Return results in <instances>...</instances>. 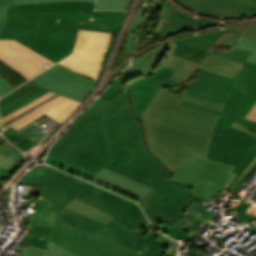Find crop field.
I'll return each mask as SVG.
<instances>
[{"instance_id": "obj_1", "label": "crop field", "mask_w": 256, "mask_h": 256, "mask_svg": "<svg viewBox=\"0 0 256 256\" xmlns=\"http://www.w3.org/2000/svg\"><path fill=\"white\" fill-rule=\"evenodd\" d=\"M0 39H14L56 62L72 53L77 29L116 33L125 12L94 11L95 0H0Z\"/></svg>"}, {"instance_id": "obj_2", "label": "crop field", "mask_w": 256, "mask_h": 256, "mask_svg": "<svg viewBox=\"0 0 256 256\" xmlns=\"http://www.w3.org/2000/svg\"><path fill=\"white\" fill-rule=\"evenodd\" d=\"M188 101L215 110L222 104L160 89L141 116L150 151L173 171L191 155L206 158L218 115L180 105Z\"/></svg>"}, {"instance_id": "obj_3", "label": "crop field", "mask_w": 256, "mask_h": 256, "mask_svg": "<svg viewBox=\"0 0 256 256\" xmlns=\"http://www.w3.org/2000/svg\"><path fill=\"white\" fill-rule=\"evenodd\" d=\"M102 111L113 158L105 168L154 188L152 194L170 221L174 220L190 199L189 187L172 183L168 172L145 149L128 101L116 116L108 114V104Z\"/></svg>"}, {"instance_id": "obj_4", "label": "crop field", "mask_w": 256, "mask_h": 256, "mask_svg": "<svg viewBox=\"0 0 256 256\" xmlns=\"http://www.w3.org/2000/svg\"><path fill=\"white\" fill-rule=\"evenodd\" d=\"M107 102L100 97L82 113L55 143L45 161L56 155L98 173L112 159L100 110Z\"/></svg>"}, {"instance_id": "obj_5", "label": "crop field", "mask_w": 256, "mask_h": 256, "mask_svg": "<svg viewBox=\"0 0 256 256\" xmlns=\"http://www.w3.org/2000/svg\"><path fill=\"white\" fill-rule=\"evenodd\" d=\"M201 75L190 82L186 93L218 103L225 100L244 107L236 120L253 124L244 119L256 103V64L245 61L233 79L198 69Z\"/></svg>"}, {"instance_id": "obj_6", "label": "crop field", "mask_w": 256, "mask_h": 256, "mask_svg": "<svg viewBox=\"0 0 256 256\" xmlns=\"http://www.w3.org/2000/svg\"><path fill=\"white\" fill-rule=\"evenodd\" d=\"M19 183L45 185L40 197L51 200L58 220L95 235L105 224L65 208L87 184L71 176L40 167L27 173Z\"/></svg>"}, {"instance_id": "obj_7", "label": "crop field", "mask_w": 256, "mask_h": 256, "mask_svg": "<svg viewBox=\"0 0 256 256\" xmlns=\"http://www.w3.org/2000/svg\"><path fill=\"white\" fill-rule=\"evenodd\" d=\"M242 107L225 102L208 148L207 158L228 163L236 176L229 183L231 188L256 156V137L231 126ZM228 149V151H226Z\"/></svg>"}, {"instance_id": "obj_8", "label": "crop field", "mask_w": 256, "mask_h": 256, "mask_svg": "<svg viewBox=\"0 0 256 256\" xmlns=\"http://www.w3.org/2000/svg\"><path fill=\"white\" fill-rule=\"evenodd\" d=\"M231 168L226 164L191 156L172 172V176L177 182L194 184L191 191L194 198L210 201L234 176L229 174Z\"/></svg>"}, {"instance_id": "obj_9", "label": "crop field", "mask_w": 256, "mask_h": 256, "mask_svg": "<svg viewBox=\"0 0 256 256\" xmlns=\"http://www.w3.org/2000/svg\"><path fill=\"white\" fill-rule=\"evenodd\" d=\"M112 35L78 30L73 53L56 63L82 76L98 80Z\"/></svg>"}, {"instance_id": "obj_10", "label": "crop field", "mask_w": 256, "mask_h": 256, "mask_svg": "<svg viewBox=\"0 0 256 256\" xmlns=\"http://www.w3.org/2000/svg\"><path fill=\"white\" fill-rule=\"evenodd\" d=\"M76 198L114 216L112 221L131 232L147 223L136 204L93 185L87 184Z\"/></svg>"}, {"instance_id": "obj_11", "label": "crop field", "mask_w": 256, "mask_h": 256, "mask_svg": "<svg viewBox=\"0 0 256 256\" xmlns=\"http://www.w3.org/2000/svg\"><path fill=\"white\" fill-rule=\"evenodd\" d=\"M75 228L57 220L49 240L79 256H89L115 242L99 233L93 236Z\"/></svg>"}, {"instance_id": "obj_12", "label": "crop field", "mask_w": 256, "mask_h": 256, "mask_svg": "<svg viewBox=\"0 0 256 256\" xmlns=\"http://www.w3.org/2000/svg\"><path fill=\"white\" fill-rule=\"evenodd\" d=\"M0 60L28 80L55 64L14 40H0Z\"/></svg>"}, {"instance_id": "obj_13", "label": "crop field", "mask_w": 256, "mask_h": 256, "mask_svg": "<svg viewBox=\"0 0 256 256\" xmlns=\"http://www.w3.org/2000/svg\"><path fill=\"white\" fill-rule=\"evenodd\" d=\"M195 10L217 16H251L256 14V0H178Z\"/></svg>"}, {"instance_id": "obj_14", "label": "crop field", "mask_w": 256, "mask_h": 256, "mask_svg": "<svg viewBox=\"0 0 256 256\" xmlns=\"http://www.w3.org/2000/svg\"><path fill=\"white\" fill-rule=\"evenodd\" d=\"M173 69L161 67V69L129 85V92L132 98L135 114L140 118L149 103L165 81H167Z\"/></svg>"}, {"instance_id": "obj_15", "label": "crop field", "mask_w": 256, "mask_h": 256, "mask_svg": "<svg viewBox=\"0 0 256 256\" xmlns=\"http://www.w3.org/2000/svg\"><path fill=\"white\" fill-rule=\"evenodd\" d=\"M80 104L81 102L59 96L15 120L14 122L6 125L3 127V131L9 129L10 127L17 131L44 113L49 117L63 123Z\"/></svg>"}, {"instance_id": "obj_16", "label": "crop field", "mask_w": 256, "mask_h": 256, "mask_svg": "<svg viewBox=\"0 0 256 256\" xmlns=\"http://www.w3.org/2000/svg\"><path fill=\"white\" fill-rule=\"evenodd\" d=\"M175 42L178 45L174 51V54L231 73L233 75H235L243 65L242 63L233 59L196 48L186 43L179 41Z\"/></svg>"}, {"instance_id": "obj_17", "label": "crop field", "mask_w": 256, "mask_h": 256, "mask_svg": "<svg viewBox=\"0 0 256 256\" xmlns=\"http://www.w3.org/2000/svg\"><path fill=\"white\" fill-rule=\"evenodd\" d=\"M134 233L142 237L136 243L146 247L140 253L115 242L98 250L91 256H159L163 253V249L156 243L152 236L153 230L149 223L138 228ZM156 251H158V253H156Z\"/></svg>"}, {"instance_id": "obj_18", "label": "crop field", "mask_w": 256, "mask_h": 256, "mask_svg": "<svg viewBox=\"0 0 256 256\" xmlns=\"http://www.w3.org/2000/svg\"><path fill=\"white\" fill-rule=\"evenodd\" d=\"M118 194L138 201L152 188L103 168L92 180Z\"/></svg>"}, {"instance_id": "obj_19", "label": "crop field", "mask_w": 256, "mask_h": 256, "mask_svg": "<svg viewBox=\"0 0 256 256\" xmlns=\"http://www.w3.org/2000/svg\"><path fill=\"white\" fill-rule=\"evenodd\" d=\"M161 11V22L158 31L163 37L201 26L214 25L213 23L200 21L187 16L171 7L166 1H163Z\"/></svg>"}, {"instance_id": "obj_20", "label": "crop field", "mask_w": 256, "mask_h": 256, "mask_svg": "<svg viewBox=\"0 0 256 256\" xmlns=\"http://www.w3.org/2000/svg\"><path fill=\"white\" fill-rule=\"evenodd\" d=\"M205 206L207 205H200L199 203L192 201V203H190L188 206L189 209H186L185 214L181 218H179L177 221L173 222L172 224L166 227H162L160 231L177 240L178 238L182 240L193 238L187 232L175 227L174 225L178 223L185 215L188 216L197 224L200 223L201 221L208 224L210 222H214L215 220H217V218L212 217V213H209V211L207 210L201 209Z\"/></svg>"}, {"instance_id": "obj_21", "label": "crop field", "mask_w": 256, "mask_h": 256, "mask_svg": "<svg viewBox=\"0 0 256 256\" xmlns=\"http://www.w3.org/2000/svg\"><path fill=\"white\" fill-rule=\"evenodd\" d=\"M142 76L132 71H125L120 77L115 79V81L110 85L107 91L102 95V97L110 100L109 103V113L116 115L121 107L128 100L126 89L124 85L126 82ZM116 87V88H114Z\"/></svg>"}, {"instance_id": "obj_22", "label": "crop field", "mask_w": 256, "mask_h": 256, "mask_svg": "<svg viewBox=\"0 0 256 256\" xmlns=\"http://www.w3.org/2000/svg\"><path fill=\"white\" fill-rule=\"evenodd\" d=\"M168 44L171 46V53L165 59V61L163 62V66L175 69V71L173 73V76L181 77V78H184L186 80L192 78V73L195 70L191 69L187 66L188 63H190L195 67H199L200 69H204V70H207V71H211V72H214V73H218V74L233 78V75H230L228 73L210 68L208 66H205V65L193 62V61H189L187 59H184V58H181L179 56H176V55L172 54L177 44H175L174 42H170Z\"/></svg>"}, {"instance_id": "obj_23", "label": "crop field", "mask_w": 256, "mask_h": 256, "mask_svg": "<svg viewBox=\"0 0 256 256\" xmlns=\"http://www.w3.org/2000/svg\"><path fill=\"white\" fill-rule=\"evenodd\" d=\"M30 81L55 93L78 101H80L82 96L85 94V91L74 88L75 86L72 87L56 79L45 71L32 78Z\"/></svg>"}, {"instance_id": "obj_24", "label": "crop field", "mask_w": 256, "mask_h": 256, "mask_svg": "<svg viewBox=\"0 0 256 256\" xmlns=\"http://www.w3.org/2000/svg\"><path fill=\"white\" fill-rule=\"evenodd\" d=\"M48 73L52 74L56 78L72 85L82 90L87 91L84 97L81 99V102L87 97L92 88L95 86L96 81L90 78L82 77L77 75L74 72H71L62 66L56 64L49 69L45 70Z\"/></svg>"}, {"instance_id": "obj_25", "label": "crop field", "mask_w": 256, "mask_h": 256, "mask_svg": "<svg viewBox=\"0 0 256 256\" xmlns=\"http://www.w3.org/2000/svg\"><path fill=\"white\" fill-rule=\"evenodd\" d=\"M166 50L164 44L154 48L152 51L133 59V64L128 69L146 75L154 70Z\"/></svg>"}, {"instance_id": "obj_26", "label": "crop field", "mask_w": 256, "mask_h": 256, "mask_svg": "<svg viewBox=\"0 0 256 256\" xmlns=\"http://www.w3.org/2000/svg\"><path fill=\"white\" fill-rule=\"evenodd\" d=\"M99 233L118 241L138 252H140L144 247L134 243L140 237L137 235L127 231L126 229L122 228L121 226L117 225L114 222L108 223L103 229L99 231Z\"/></svg>"}, {"instance_id": "obj_27", "label": "crop field", "mask_w": 256, "mask_h": 256, "mask_svg": "<svg viewBox=\"0 0 256 256\" xmlns=\"http://www.w3.org/2000/svg\"><path fill=\"white\" fill-rule=\"evenodd\" d=\"M139 203L154 225L155 229L158 225L169 222L168 217L166 216L165 212H163L162 208L155 200L151 192Z\"/></svg>"}, {"instance_id": "obj_28", "label": "crop field", "mask_w": 256, "mask_h": 256, "mask_svg": "<svg viewBox=\"0 0 256 256\" xmlns=\"http://www.w3.org/2000/svg\"><path fill=\"white\" fill-rule=\"evenodd\" d=\"M47 247L48 250L29 245L27 249L17 247V251L21 252L24 256H77L51 241H48Z\"/></svg>"}, {"instance_id": "obj_29", "label": "crop field", "mask_w": 256, "mask_h": 256, "mask_svg": "<svg viewBox=\"0 0 256 256\" xmlns=\"http://www.w3.org/2000/svg\"><path fill=\"white\" fill-rule=\"evenodd\" d=\"M47 91L48 90L43 89L39 86L35 87L34 89L29 91L22 97L18 98L17 100H15L7 105L1 106L0 107V116L3 117L5 115L9 114L10 112L28 104L29 102L33 101L34 99L41 96L42 94H44ZM8 108H10L11 110H9Z\"/></svg>"}, {"instance_id": "obj_30", "label": "crop field", "mask_w": 256, "mask_h": 256, "mask_svg": "<svg viewBox=\"0 0 256 256\" xmlns=\"http://www.w3.org/2000/svg\"><path fill=\"white\" fill-rule=\"evenodd\" d=\"M67 208L77 211L86 216H89L98 221H101L105 224H107L108 222H110L113 219V217H111V216L77 200V199H74L69 205H67Z\"/></svg>"}, {"instance_id": "obj_31", "label": "crop field", "mask_w": 256, "mask_h": 256, "mask_svg": "<svg viewBox=\"0 0 256 256\" xmlns=\"http://www.w3.org/2000/svg\"><path fill=\"white\" fill-rule=\"evenodd\" d=\"M47 163H50L52 164L53 166L59 168V169H62V170H65L67 172H70L74 175H77L79 177H82V178H85L87 180H91L95 175L96 173L92 172V171H89L87 169H84L80 166H77L75 164H72L68 161H65L63 159H60L56 156H54L51 160H49Z\"/></svg>"}, {"instance_id": "obj_32", "label": "crop field", "mask_w": 256, "mask_h": 256, "mask_svg": "<svg viewBox=\"0 0 256 256\" xmlns=\"http://www.w3.org/2000/svg\"><path fill=\"white\" fill-rule=\"evenodd\" d=\"M234 30H236V29H234ZM229 31H232V30L221 31V32L213 33V34L191 37V38L182 39V40H179V41H183V42H186L188 44L194 45L196 47L208 50L217 41V39L220 37V35L222 33L229 32Z\"/></svg>"}, {"instance_id": "obj_33", "label": "crop field", "mask_w": 256, "mask_h": 256, "mask_svg": "<svg viewBox=\"0 0 256 256\" xmlns=\"http://www.w3.org/2000/svg\"><path fill=\"white\" fill-rule=\"evenodd\" d=\"M153 0H144L143 4H145L144 8L141 7V9L139 10L131 28H130V33L129 35L127 36V44H126V50L125 53L127 54H130L131 53V50H132V47H133V44H134V41H135V37H136V33H137V30L139 28V25L149 7V5L151 4Z\"/></svg>"}, {"instance_id": "obj_34", "label": "crop field", "mask_w": 256, "mask_h": 256, "mask_svg": "<svg viewBox=\"0 0 256 256\" xmlns=\"http://www.w3.org/2000/svg\"><path fill=\"white\" fill-rule=\"evenodd\" d=\"M241 36L256 40V25L245 28H239V30L234 32L233 34L222 38L220 42L236 47L239 43V39Z\"/></svg>"}, {"instance_id": "obj_35", "label": "crop field", "mask_w": 256, "mask_h": 256, "mask_svg": "<svg viewBox=\"0 0 256 256\" xmlns=\"http://www.w3.org/2000/svg\"><path fill=\"white\" fill-rule=\"evenodd\" d=\"M130 0H98L96 9L126 10Z\"/></svg>"}, {"instance_id": "obj_36", "label": "crop field", "mask_w": 256, "mask_h": 256, "mask_svg": "<svg viewBox=\"0 0 256 256\" xmlns=\"http://www.w3.org/2000/svg\"><path fill=\"white\" fill-rule=\"evenodd\" d=\"M54 94H55V93H53V92H51V91L45 93L44 95H42L41 97L37 98L36 100H34L33 102L29 103L28 105H26V106H24V107H22V108H20V109H18V110H16V111L10 113L9 115H7V116L1 118L2 123H5V122L9 121L10 119H12V118L18 116L19 114L23 113V112L26 111L27 109L31 108L32 106L36 105V104L39 103V102H41V101H43V100H45V99L51 97V96L54 95Z\"/></svg>"}, {"instance_id": "obj_37", "label": "crop field", "mask_w": 256, "mask_h": 256, "mask_svg": "<svg viewBox=\"0 0 256 256\" xmlns=\"http://www.w3.org/2000/svg\"><path fill=\"white\" fill-rule=\"evenodd\" d=\"M237 47L253 51L247 61L256 63V41L241 37L240 44Z\"/></svg>"}, {"instance_id": "obj_38", "label": "crop field", "mask_w": 256, "mask_h": 256, "mask_svg": "<svg viewBox=\"0 0 256 256\" xmlns=\"http://www.w3.org/2000/svg\"><path fill=\"white\" fill-rule=\"evenodd\" d=\"M28 220L51 228L56 221V219L39 212H37L34 216H28Z\"/></svg>"}, {"instance_id": "obj_39", "label": "crop field", "mask_w": 256, "mask_h": 256, "mask_svg": "<svg viewBox=\"0 0 256 256\" xmlns=\"http://www.w3.org/2000/svg\"><path fill=\"white\" fill-rule=\"evenodd\" d=\"M35 86H37V85L34 84L32 86H27L24 84L21 87H19L18 89H16L15 91H13L12 93H10L2 98L5 101V104H7V103L17 99L18 97L22 96L23 94H25L26 92H28L29 90L34 88Z\"/></svg>"}, {"instance_id": "obj_40", "label": "crop field", "mask_w": 256, "mask_h": 256, "mask_svg": "<svg viewBox=\"0 0 256 256\" xmlns=\"http://www.w3.org/2000/svg\"><path fill=\"white\" fill-rule=\"evenodd\" d=\"M23 155L17 150L11 153L6 158L0 160V167L11 169Z\"/></svg>"}, {"instance_id": "obj_41", "label": "crop field", "mask_w": 256, "mask_h": 256, "mask_svg": "<svg viewBox=\"0 0 256 256\" xmlns=\"http://www.w3.org/2000/svg\"><path fill=\"white\" fill-rule=\"evenodd\" d=\"M37 199H39L40 201L38 202V204L32 208L36 209L37 211L47 214L49 216H52L54 218H56L57 215L54 214L52 206H51V202L49 200L43 199L38 197Z\"/></svg>"}, {"instance_id": "obj_42", "label": "crop field", "mask_w": 256, "mask_h": 256, "mask_svg": "<svg viewBox=\"0 0 256 256\" xmlns=\"http://www.w3.org/2000/svg\"><path fill=\"white\" fill-rule=\"evenodd\" d=\"M250 53H251L250 51L234 48L222 55L233 58L235 60H238V61L244 63V61L247 59V57L250 55Z\"/></svg>"}, {"instance_id": "obj_43", "label": "crop field", "mask_w": 256, "mask_h": 256, "mask_svg": "<svg viewBox=\"0 0 256 256\" xmlns=\"http://www.w3.org/2000/svg\"><path fill=\"white\" fill-rule=\"evenodd\" d=\"M250 206V204L248 203H242V202H239L235 208V215L247 222H252L253 220H255L256 218L252 217V216H249V215H246L244 214L245 211L247 210V208Z\"/></svg>"}, {"instance_id": "obj_44", "label": "crop field", "mask_w": 256, "mask_h": 256, "mask_svg": "<svg viewBox=\"0 0 256 256\" xmlns=\"http://www.w3.org/2000/svg\"><path fill=\"white\" fill-rule=\"evenodd\" d=\"M30 225L32 226V228H31L29 235L38 238L39 235L42 234V235L46 236V239L49 238L51 228H47V227H44V226H41V225H38V224H35L32 222Z\"/></svg>"}, {"instance_id": "obj_45", "label": "crop field", "mask_w": 256, "mask_h": 256, "mask_svg": "<svg viewBox=\"0 0 256 256\" xmlns=\"http://www.w3.org/2000/svg\"><path fill=\"white\" fill-rule=\"evenodd\" d=\"M4 134L14 144H15V142H17V144H15V145L19 148H22L24 151H26L32 147L29 144H27L25 141H23L22 139L18 138L14 133H12L9 130L4 132Z\"/></svg>"}, {"instance_id": "obj_46", "label": "crop field", "mask_w": 256, "mask_h": 256, "mask_svg": "<svg viewBox=\"0 0 256 256\" xmlns=\"http://www.w3.org/2000/svg\"><path fill=\"white\" fill-rule=\"evenodd\" d=\"M157 239L159 240V242L164 245L167 249H168V252L166 254V256H175V254L173 253H170L171 251H174L178 245V243L170 240V239H167L161 235L158 234V237ZM177 250V249H176Z\"/></svg>"}, {"instance_id": "obj_47", "label": "crop field", "mask_w": 256, "mask_h": 256, "mask_svg": "<svg viewBox=\"0 0 256 256\" xmlns=\"http://www.w3.org/2000/svg\"><path fill=\"white\" fill-rule=\"evenodd\" d=\"M13 89L15 88L12 87L9 83H7L3 78L0 77V97L4 96L5 94L12 91Z\"/></svg>"}, {"instance_id": "obj_48", "label": "crop field", "mask_w": 256, "mask_h": 256, "mask_svg": "<svg viewBox=\"0 0 256 256\" xmlns=\"http://www.w3.org/2000/svg\"><path fill=\"white\" fill-rule=\"evenodd\" d=\"M1 140H3V139L0 138V141ZM14 150H16V149L13 148L12 146L10 147L7 142L4 143L3 145L0 146V159L6 157L7 155H9Z\"/></svg>"}, {"instance_id": "obj_49", "label": "crop field", "mask_w": 256, "mask_h": 256, "mask_svg": "<svg viewBox=\"0 0 256 256\" xmlns=\"http://www.w3.org/2000/svg\"><path fill=\"white\" fill-rule=\"evenodd\" d=\"M24 239L31 241L30 245H34V246H38V247H42V248L47 249V247H46L47 242L46 241L31 237V236H27V235Z\"/></svg>"}, {"instance_id": "obj_50", "label": "crop field", "mask_w": 256, "mask_h": 256, "mask_svg": "<svg viewBox=\"0 0 256 256\" xmlns=\"http://www.w3.org/2000/svg\"><path fill=\"white\" fill-rule=\"evenodd\" d=\"M182 105H186V106H189V107H193V108H196V109H200V110L211 112V113L218 114V115L220 113L219 111H215V110H212V109H208V108L201 107V106L191 104V103H188V102H184V101L182 102Z\"/></svg>"}, {"instance_id": "obj_51", "label": "crop field", "mask_w": 256, "mask_h": 256, "mask_svg": "<svg viewBox=\"0 0 256 256\" xmlns=\"http://www.w3.org/2000/svg\"><path fill=\"white\" fill-rule=\"evenodd\" d=\"M57 96H59V95H57V94H56V95L52 96L51 98H49V99H47V100H45V101H43V102H41V103L37 104L36 106L32 107L31 109L27 110L26 112H24L23 114L19 115L18 117L14 118V119L12 118V119H13V120H15V119H17V118L21 117L22 115H24V114L28 113L29 111H31V110H33V109L37 108L38 106L42 105L43 103H45V102H47V101H49V100H51V99H53V98H55V97H57ZM10 120H11V119H10ZM13 120H11V121H9V122H7V123L3 124V126H5L6 124H8V123L12 122Z\"/></svg>"}, {"instance_id": "obj_52", "label": "crop field", "mask_w": 256, "mask_h": 256, "mask_svg": "<svg viewBox=\"0 0 256 256\" xmlns=\"http://www.w3.org/2000/svg\"><path fill=\"white\" fill-rule=\"evenodd\" d=\"M19 165H15L11 170H7V169H3L0 168V182L12 171L14 170L16 167H18Z\"/></svg>"}, {"instance_id": "obj_53", "label": "crop field", "mask_w": 256, "mask_h": 256, "mask_svg": "<svg viewBox=\"0 0 256 256\" xmlns=\"http://www.w3.org/2000/svg\"><path fill=\"white\" fill-rule=\"evenodd\" d=\"M232 127L237 128V129H239V130H242V131H244V132H247V133H249V134H252V135L256 136L255 133L248 131L249 128H247V127H245V126H243V125L237 124V123H235V122H233Z\"/></svg>"}, {"instance_id": "obj_54", "label": "crop field", "mask_w": 256, "mask_h": 256, "mask_svg": "<svg viewBox=\"0 0 256 256\" xmlns=\"http://www.w3.org/2000/svg\"><path fill=\"white\" fill-rule=\"evenodd\" d=\"M246 119L256 121V104L254 107L251 109L249 114L246 116Z\"/></svg>"}, {"instance_id": "obj_55", "label": "crop field", "mask_w": 256, "mask_h": 256, "mask_svg": "<svg viewBox=\"0 0 256 256\" xmlns=\"http://www.w3.org/2000/svg\"><path fill=\"white\" fill-rule=\"evenodd\" d=\"M5 12H6V6L1 5L0 6V28L3 24L4 19H5Z\"/></svg>"}, {"instance_id": "obj_56", "label": "crop field", "mask_w": 256, "mask_h": 256, "mask_svg": "<svg viewBox=\"0 0 256 256\" xmlns=\"http://www.w3.org/2000/svg\"><path fill=\"white\" fill-rule=\"evenodd\" d=\"M255 161H256V157H255V159L251 162V164L247 167V169L244 171V173L240 176V178L236 181V183L233 185V187L237 185V183L241 180V178H242V177L245 175V173L250 169V167L254 164ZM233 187H232V189H233Z\"/></svg>"}, {"instance_id": "obj_57", "label": "crop field", "mask_w": 256, "mask_h": 256, "mask_svg": "<svg viewBox=\"0 0 256 256\" xmlns=\"http://www.w3.org/2000/svg\"><path fill=\"white\" fill-rule=\"evenodd\" d=\"M234 121L237 122V123H240V124H243V125L249 127V128H250V131H253V132L256 133V122H255L252 126H250V125H247V124H245V123H242V122H239V121H236V120H234Z\"/></svg>"}, {"instance_id": "obj_58", "label": "crop field", "mask_w": 256, "mask_h": 256, "mask_svg": "<svg viewBox=\"0 0 256 256\" xmlns=\"http://www.w3.org/2000/svg\"><path fill=\"white\" fill-rule=\"evenodd\" d=\"M9 130H11L12 132H14V133H16L20 138H22L23 140H25L26 142H28L29 144H31V145H36V144H34L33 142H31L30 140L28 141L25 137H23L22 135H20L19 133H17L15 130H13V129H9Z\"/></svg>"}, {"instance_id": "obj_59", "label": "crop field", "mask_w": 256, "mask_h": 256, "mask_svg": "<svg viewBox=\"0 0 256 256\" xmlns=\"http://www.w3.org/2000/svg\"><path fill=\"white\" fill-rule=\"evenodd\" d=\"M255 165H256V162H255V164L251 167V169L246 173V175L242 178V180L238 183V185H237L236 187H234L233 190L236 191L237 187L241 184V182L245 179V177L250 173V171L255 167Z\"/></svg>"}, {"instance_id": "obj_60", "label": "crop field", "mask_w": 256, "mask_h": 256, "mask_svg": "<svg viewBox=\"0 0 256 256\" xmlns=\"http://www.w3.org/2000/svg\"><path fill=\"white\" fill-rule=\"evenodd\" d=\"M247 229H248V228H247ZM249 230H251V231H253V232L256 233V227H255V226H253V228H252V229H249ZM253 256H256V253H255Z\"/></svg>"}, {"instance_id": "obj_61", "label": "crop field", "mask_w": 256, "mask_h": 256, "mask_svg": "<svg viewBox=\"0 0 256 256\" xmlns=\"http://www.w3.org/2000/svg\"><path fill=\"white\" fill-rule=\"evenodd\" d=\"M0 132H1V127H0Z\"/></svg>"}]
</instances>
